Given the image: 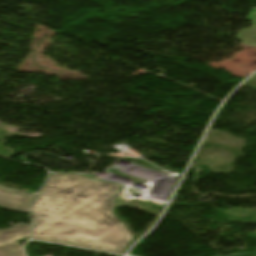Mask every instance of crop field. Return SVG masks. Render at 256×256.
<instances>
[{
	"instance_id": "obj_1",
	"label": "crop field",
	"mask_w": 256,
	"mask_h": 256,
	"mask_svg": "<svg viewBox=\"0 0 256 256\" xmlns=\"http://www.w3.org/2000/svg\"><path fill=\"white\" fill-rule=\"evenodd\" d=\"M121 188L78 175H50L31 208L41 214L32 238L125 254L133 238L113 215Z\"/></svg>"
},
{
	"instance_id": "obj_2",
	"label": "crop field",
	"mask_w": 256,
	"mask_h": 256,
	"mask_svg": "<svg viewBox=\"0 0 256 256\" xmlns=\"http://www.w3.org/2000/svg\"><path fill=\"white\" fill-rule=\"evenodd\" d=\"M35 194L0 186V206L17 212L28 213Z\"/></svg>"
},
{
	"instance_id": "obj_3",
	"label": "crop field",
	"mask_w": 256,
	"mask_h": 256,
	"mask_svg": "<svg viewBox=\"0 0 256 256\" xmlns=\"http://www.w3.org/2000/svg\"><path fill=\"white\" fill-rule=\"evenodd\" d=\"M30 228L19 224L13 229L0 230V256H10L23 253L18 243L12 244L16 239L28 237Z\"/></svg>"
},
{
	"instance_id": "obj_4",
	"label": "crop field",
	"mask_w": 256,
	"mask_h": 256,
	"mask_svg": "<svg viewBox=\"0 0 256 256\" xmlns=\"http://www.w3.org/2000/svg\"><path fill=\"white\" fill-rule=\"evenodd\" d=\"M241 35H243V37ZM236 38L240 39L247 45L256 46V25L252 24L250 29L240 30Z\"/></svg>"
},
{
	"instance_id": "obj_5",
	"label": "crop field",
	"mask_w": 256,
	"mask_h": 256,
	"mask_svg": "<svg viewBox=\"0 0 256 256\" xmlns=\"http://www.w3.org/2000/svg\"><path fill=\"white\" fill-rule=\"evenodd\" d=\"M246 19L256 23V8L252 9V12L246 17Z\"/></svg>"
},
{
	"instance_id": "obj_6",
	"label": "crop field",
	"mask_w": 256,
	"mask_h": 256,
	"mask_svg": "<svg viewBox=\"0 0 256 256\" xmlns=\"http://www.w3.org/2000/svg\"><path fill=\"white\" fill-rule=\"evenodd\" d=\"M34 214V217H35V224H36V222H37V220H38V218H39V214H35V213H33Z\"/></svg>"
},
{
	"instance_id": "obj_7",
	"label": "crop field",
	"mask_w": 256,
	"mask_h": 256,
	"mask_svg": "<svg viewBox=\"0 0 256 256\" xmlns=\"http://www.w3.org/2000/svg\"><path fill=\"white\" fill-rule=\"evenodd\" d=\"M15 256H23L22 254H19V255H15Z\"/></svg>"
}]
</instances>
